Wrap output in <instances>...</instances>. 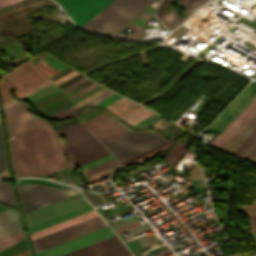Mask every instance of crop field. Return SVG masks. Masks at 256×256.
Instances as JSON below:
<instances>
[{"mask_svg": "<svg viewBox=\"0 0 256 256\" xmlns=\"http://www.w3.org/2000/svg\"><path fill=\"white\" fill-rule=\"evenodd\" d=\"M256 138V131L243 143V145L234 153V155L239 156L246 148L247 146Z\"/></svg>", "mask_w": 256, "mask_h": 256, "instance_id": "d32e631a", "label": "crop field"}, {"mask_svg": "<svg viewBox=\"0 0 256 256\" xmlns=\"http://www.w3.org/2000/svg\"><path fill=\"white\" fill-rule=\"evenodd\" d=\"M16 181L25 213L79 192L75 188L46 180L18 179Z\"/></svg>", "mask_w": 256, "mask_h": 256, "instance_id": "34b2d1b8", "label": "crop field"}, {"mask_svg": "<svg viewBox=\"0 0 256 256\" xmlns=\"http://www.w3.org/2000/svg\"><path fill=\"white\" fill-rule=\"evenodd\" d=\"M186 12L187 17L190 12L197 7L198 5L202 4L205 0H179ZM184 17V18H185ZM184 18L181 20L176 15V13L171 8L169 11H167L161 18H159L162 23L168 28L173 29L178 23H180Z\"/></svg>", "mask_w": 256, "mask_h": 256, "instance_id": "4a817a6b", "label": "crop field"}, {"mask_svg": "<svg viewBox=\"0 0 256 256\" xmlns=\"http://www.w3.org/2000/svg\"><path fill=\"white\" fill-rule=\"evenodd\" d=\"M49 80L29 60L14 68V70L0 79V89L3 104L10 102L12 85L16 94Z\"/></svg>", "mask_w": 256, "mask_h": 256, "instance_id": "412701ff", "label": "crop field"}, {"mask_svg": "<svg viewBox=\"0 0 256 256\" xmlns=\"http://www.w3.org/2000/svg\"><path fill=\"white\" fill-rule=\"evenodd\" d=\"M144 225V224H143ZM141 226V225H140ZM137 227H139V226H137ZM136 228V227H135ZM133 229V228H132ZM129 230H131V229H129ZM126 231H128V230H126ZM126 231H123V232H121V233H124V232H126ZM121 233H118V236L120 237V235L119 234H121ZM121 238V237H120Z\"/></svg>", "mask_w": 256, "mask_h": 256, "instance_id": "1f2cbd36", "label": "crop field"}, {"mask_svg": "<svg viewBox=\"0 0 256 256\" xmlns=\"http://www.w3.org/2000/svg\"><path fill=\"white\" fill-rule=\"evenodd\" d=\"M4 167H5L4 154H3V146H2V140H1V134H0V172L3 171Z\"/></svg>", "mask_w": 256, "mask_h": 256, "instance_id": "c035e120", "label": "crop field"}, {"mask_svg": "<svg viewBox=\"0 0 256 256\" xmlns=\"http://www.w3.org/2000/svg\"><path fill=\"white\" fill-rule=\"evenodd\" d=\"M120 168H121V166H120V164H118L116 166L110 167V168L105 169L103 171H100V172H97L95 174L89 175V176H87V179L89 180V182H91V181H93L95 179H98V178H100L102 176H105V175H107L109 173H112V172H114V171H116V170H118Z\"/></svg>", "mask_w": 256, "mask_h": 256, "instance_id": "bd1437ed", "label": "crop field"}, {"mask_svg": "<svg viewBox=\"0 0 256 256\" xmlns=\"http://www.w3.org/2000/svg\"><path fill=\"white\" fill-rule=\"evenodd\" d=\"M81 192L84 194V196L87 198V200L93 205V207L96 206V205H99L100 203L103 204L95 194H94L95 197L100 201V203H99L98 200L93 196L92 193H88V192H84V191H81Z\"/></svg>", "mask_w": 256, "mask_h": 256, "instance_id": "e1f06a70", "label": "crop field"}, {"mask_svg": "<svg viewBox=\"0 0 256 256\" xmlns=\"http://www.w3.org/2000/svg\"><path fill=\"white\" fill-rule=\"evenodd\" d=\"M128 254H130L129 250L114 235L63 256H125Z\"/></svg>", "mask_w": 256, "mask_h": 256, "instance_id": "d1516ede", "label": "crop field"}, {"mask_svg": "<svg viewBox=\"0 0 256 256\" xmlns=\"http://www.w3.org/2000/svg\"><path fill=\"white\" fill-rule=\"evenodd\" d=\"M22 239H24V237H23L22 231H20L2 241H0V250L20 241Z\"/></svg>", "mask_w": 256, "mask_h": 256, "instance_id": "750c4746", "label": "crop field"}, {"mask_svg": "<svg viewBox=\"0 0 256 256\" xmlns=\"http://www.w3.org/2000/svg\"><path fill=\"white\" fill-rule=\"evenodd\" d=\"M97 215L96 211L93 210V211H90L88 213H85V214H82L80 216H77V217H74V218H71L69 220H66V221H63L61 223H58V224H55L53 226H50V227H47V228H44L42 230H39V231H36L34 233H31V239H35V238H38V237H41L43 235H46L48 233H51L53 231H56V230H59L61 228H64L66 226H69L71 224H74V223H77L79 221H82L84 219H87L89 217H92V216H95Z\"/></svg>", "mask_w": 256, "mask_h": 256, "instance_id": "214f88e0", "label": "crop field"}, {"mask_svg": "<svg viewBox=\"0 0 256 256\" xmlns=\"http://www.w3.org/2000/svg\"><path fill=\"white\" fill-rule=\"evenodd\" d=\"M107 224L99 215L79 222L52 234L46 235L33 241L36 253L52 246L58 245L65 241L79 237L86 233L92 232L99 228L105 227Z\"/></svg>", "mask_w": 256, "mask_h": 256, "instance_id": "f4fd0767", "label": "crop field"}, {"mask_svg": "<svg viewBox=\"0 0 256 256\" xmlns=\"http://www.w3.org/2000/svg\"><path fill=\"white\" fill-rule=\"evenodd\" d=\"M57 133L59 136L63 135L68 141L62 144L64 149L93 137V135L82 125L81 122L62 129Z\"/></svg>", "mask_w": 256, "mask_h": 256, "instance_id": "d9b57169", "label": "crop field"}, {"mask_svg": "<svg viewBox=\"0 0 256 256\" xmlns=\"http://www.w3.org/2000/svg\"><path fill=\"white\" fill-rule=\"evenodd\" d=\"M157 135V133L152 131H144V132H136L132 131L120 138H117L107 144L105 146L109 149V151L115 155L127 148H130L142 141H145L153 136Z\"/></svg>", "mask_w": 256, "mask_h": 256, "instance_id": "5142ce71", "label": "crop field"}, {"mask_svg": "<svg viewBox=\"0 0 256 256\" xmlns=\"http://www.w3.org/2000/svg\"><path fill=\"white\" fill-rule=\"evenodd\" d=\"M147 229H149V227H148V226L143 227V228L138 229V230H135V231H133V233H134V234H136V233H139V232L144 231V230H147Z\"/></svg>", "mask_w": 256, "mask_h": 256, "instance_id": "73cf0c24", "label": "crop field"}, {"mask_svg": "<svg viewBox=\"0 0 256 256\" xmlns=\"http://www.w3.org/2000/svg\"><path fill=\"white\" fill-rule=\"evenodd\" d=\"M163 141H165V140L158 135V136H156V137H154L150 140H147V141H145V142H143V143H141L137 146H134V147H132V148L126 150V151H123V152L115 155V157L117 158V160L119 162H121V161H123V160H125V159H127V158H129L133 155H136V154H138V153H140V152H142V151H144V150H146L150 147H153V146H155V145H157V144H159Z\"/></svg>", "mask_w": 256, "mask_h": 256, "instance_id": "92a150f3", "label": "crop field"}, {"mask_svg": "<svg viewBox=\"0 0 256 256\" xmlns=\"http://www.w3.org/2000/svg\"><path fill=\"white\" fill-rule=\"evenodd\" d=\"M168 254H171V252H170L169 249H167V250H165V251H162V252H160V253H158V254H155V255H153V256H165V255H168Z\"/></svg>", "mask_w": 256, "mask_h": 256, "instance_id": "425ffa30", "label": "crop field"}, {"mask_svg": "<svg viewBox=\"0 0 256 256\" xmlns=\"http://www.w3.org/2000/svg\"><path fill=\"white\" fill-rule=\"evenodd\" d=\"M9 136L19 133L23 130L46 123L44 120L34 117L25 110L29 109L26 104L20 101H13L3 105Z\"/></svg>", "mask_w": 256, "mask_h": 256, "instance_id": "e52e79f7", "label": "crop field"}, {"mask_svg": "<svg viewBox=\"0 0 256 256\" xmlns=\"http://www.w3.org/2000/svg\"><path fill=\"white\" fill-rule=\"evenodd\" d=\"M169 143H171V142L166 141V142H164V143H162V144H160V145H158V146H155V147H153V148H151V149H149V150H147V151H145V152H142V153H140V154H138V155H136V156H134V157H131V158H129V159H127V160L121 162V164L124 165V164H126V163H128V162H130V161H132V160H134V159H137V158H139V157H141V156H143V155H145V154H148V153H150V152H152V151H154V150H156V149H158V148H161V147H163V146H165V145H167V144H169Z\"/></svg>", "mask_w": 256, "mask_h": 256, "instance_id": "120bbe31", "label": "crop field"}, {"mask_svg": "<svg viewBox=\"0 0 256 256\" xmlns=\"http://www.w3.org/2000/svg\"><path fill=\"white\" fill-rule=\"evenodd\" d=\"M170 0H163L162 3L160 4L159 8H158V11H157V16L158 18L163 15L168 3H169Z\"/></svg>", "mask_w": 256, "mask_h": 256, "instance_id": "c21b1889", "label": "crop field"}, {"mask_svg": "<svg viewBox=\"0 0 256 256\" xmlns=\"http://www.w3.org/2000/svg\"><path fill=\"white\" fill-rule=\"evenodd\" d=\"M127 246L129 247V249L131 251L136 250L138 248H141V245L138 243V241L130 243V244H127Z\"/></svg>", "mask_w": 256, "mask_h": 256, "instance_id": "5d738f31", "label": "crop field"}, {"mask_svg": "<svg viewBox=\"0 0 256 256\" xmlns=\"http://www.w3.org/2000/svg\"><path fill=\"white\" fill-rule=\"evenodd\" d=\"M154 0H113L82 28L113 36Z\"/></svg>", "mask_w": 256, "mask_h": 256, "instance_id": "ac0d7876", "label": "crop field"}, {"mask_svg": "<svg viewBox=\"0 0 256 256\" xmlns=\"http://www.w3.org/2000/svg\"><path fill=\"white\" fill-rule=\"evenodd\" d=\"M250 220H251V222H252V224H253V226H254V228H255V230H256V215L250 217Z\"/></svg>", "mask_w": 256, "mask_h": 256, "instance_id": "25e5ab78", "label": "crop field"}, {"mask_svg": "<svg viewBox=\"0 0 256 256\" xmlns=\"http://www.w3.org/2000/svg\"><path fill=\"white\" fill-rule=\"evenodd\" d=\"M16 1H19V0H0V7Z\"/></svg>", "mask_w": 256, "mask_h": 256, "instance_id": "d23c7cc5", "label": "crop field"}, {"mask_svg": "<svg viewBox=\"0 0 256 256\" xmlns=\"http://www.w3.org/2000/svg\"><path fill=\"white\" fill-rule=\"evenodd\" d=\"M96 86H98V85H96V84L94 83V84H92V85L86 87L85 89L79 91L78 93H76V94H74V95H72V96H70V97H71V99L73 100V99L79 97L80 95L86 93L87 91L91 90L92 88H94V87H96Z\"/></svg>", "mask_w": 256, "mask_h": 256, "instance_id": "03da06ac", "label": "crop field"}, {"mask_svg": "<svg viewBox=\"0 0 256 256\" xmlns=\"http://www.w3.org/2000/svg\"><path fill=\"white\" fill-rule=\"evenodd\" d=\"M136 225H139V222H138V221L133 222V223H131V224H128V225H126V226H124V227H122V228L116 229V230H114V231H115L116 233H118V232H121V231H123V230H126V229H129V228H131V227H134V226H136Z\"/></svg>", "mask_w": 256, "mask_h": 256, "instance_id": "b54c1fbb", "label": "crop field"}, {"mask_svg": "<svg viewBox=\"0 0 256 256\" xmlns=\"http://www.w3.org/2000/svg\"><path fill=\"white\" fill-rule=\"evenodd\" d=\"M136 220H138V219L134 215H132V216L127 217V218H125L123 220H120L118 222L112 223V224H110V226L112 228H115V227H119V226H122V225H125V224H128V223H131V222L136 221Z\"/></svg>", "mask_w": 256, "mask_h": 256, "instance_id": "5866460e", "label": "crop field"}, {"mask_svg": "<svg viewBox=\"0 0 256 256\" xmlns=\"http://www.w3.org/2000/svg\"><path fill=\"white\" fill-rule=\"evenodd\" d=\"M120 97H121V96H118V95L114 94V95L108 97L107 99H105V100L99 102L98 104H96V105H94V106H106V105L110 104L111 102L117 100V99L120 98Z\"/></svg>", "mask_w": 256, "mask_h": 256, "instance_id": "0bd39190", "label": "crop field"}, {"mask_svg": "<svg viewBox=\"0 0 256 256\" xmlns=\"http://www.w3.org/2000/svg\"><path fill=\"white\" fill-rule=\"evenodd\" d=\"M5 208L0 207V211L4 210Z\"/></svg>", "mask_w": 256, "mask_h": 256, "instance_id": "dbb93151", "label": "crop field"}, {"mask_svg": "<svg viewBox=\"0 0 256 256\" xmlns=\"http://www.w3.org/2000/svg\"><path fill=\"white\" fill-rule=\"evenodd\" d=\"M15 256H29L28 250H25V251H23V252H21V253L15 255Z\"/></svg>", "mask_w": 256, "mask_h": 256, "instance_id": "89e229c0", "label": "crop field"}, {"mask_svg": "<svg viewBox=\"0 0 256 256\" xmlns=\"http://www.w3.org/2000/svg\"><path fill=\"white\" fill-rule=\"evenodd\" d=\"M116 164H118V162L115 159H113L111 161H108L106 163H103V164L98 165V166H96L94 168H91L89 170L84 171V174H85V176H87L89 174L95 173L97 171H100L102 169L108 168V167L116 165Z\"/></svg>", "mask_w": 256, "mask_h": 256, "instance_id": "1d83c4d3", "label": "crop field"}, {"mask_svg": "<svg viewBox=\"0 0 256 256\" xmlns=\"http://www.w3.org/2000/svg\"><path fill=\"white\" fill-rule=\"evenodd\" d=\"M27 249L25 240H22L2 251H0V256H13L23 250Z\"/></svg>", "mask_w": 256, "mask_h": 256, "instance_id": "eef30255", "label": "crop field"}, {"mask_svg": "<svg viewBox=\"0 0 256 256\" xmlns=\"http://www.w3.org/2000/svg\"><path fill=\"white\" fill-rule=\"evenodd\" d=\"M82 26L112 0H56Z\"/></svg>", "mask_w": 256, "mask_h": 256, "instance_id": "5a996713", "label": "crop field"}, {"mask_svg": "<svg viewBox=\"0 0 256 256\" xmlns=\"http://www.w3.org/2000/svg\"><path fill=\"white\" fill-rule=\"evenodd\" d=\"M71 168L109 154L102 144L91 138L64 150Z\"/></svg>", "mask_w": 256, "mask_h": 256, "instance_id": "3316defc", "label": "crop field"}, {"mask_svg": "<svg viewBox=\"0 0 256 256\" xmlns=\"http://www.w3.org/2000/svg\"><path fill=\"white\" fill-rule=\"evenodd\" d=\"M188 145L178 143L175 147H173L164 160H166L172 167L176 163V161L179 159L181 154L184 152V150L187 148Z\"/></svg>", "mask_w": 256, "mask_h": 256, "instance_id": "4177f3b9", "label": "crop field"}, {"mask_svg": "<svg viewBox=\"0 0 256 256\" xmlns=\"http://www.w3.org/2000/svg\"><path fill=\"white\" fill-rule=\"evenodd\" d=\"M253 162H256V158L253 160Z\"/></svg>", "mask_w": 256, "mask_h": 256, "instance_id": "0fb4a251", "label": "crop field"}, {"mask_svg": "<svg viewBox=\"0 0 256 256\" xmlns=\"http://www.w3.org/2000/svg\"><path fill=\"white\" fill-rule=\"evenodd\" d=\"M84 124L103 144L129 132L106 112L84 122Z\"/></svg>", "mask_w": 256, "mask_h": 256, "instance_id": "28ad6ade", "label": "crop field"}, {"mask_svg": "<svg viewBox=\"0 0 256 256\" xmlns=\"http://www.w3.org/2000/svg\"><path fill=\"white\" fill-rule=\"evenodd\" d=\"M255 116L256 109L232 132V134L218 148L223 150Z\"/></svg>", "mask_w": 256, "mask_h": 256, "instance_id": "730fd06b", "label": "crop field"}, {"mask_svg": "<svg viewBox=\"0 0 256 256\" xmlns=\"http://www.w3.org/2000/svg\"><path fill=\"white\" fill-rule=\"evenodd\" d=\"M40 115L46 117L75 105L61 90L32 102Z\"/></svg>", "mask_w": 256, "mask_h": 256, "instance_id": "cbeb9de0", "label": "crop field"}, {"mask_svg": "<svg viewBox=\"0 0 256 256\" xmlns=\"http://www.w3.org/2000/svg\"><path fill=\"white\" fill-rule=\"evenodd\" d=\"M152 114L154 113L139 106L120 118L123 119L129 125L133 126Z\"/></svg>", "mask_w": 256, "mask_h": 256, "instance_id": "a9b5d70f", "label": "crop field"}, {"mask_svg": "<svg viewBox=\"0 0 256 256\" xmlns=\"http://www.w3.org/2000/svg\"><path fill=\"white\" fill-rule=\"evenodd\" d=\"M109 91H110V90H109ZM109 91L106 92V93H104V94H102V95H100L99 97H97V98H95V99L89 101L88 103H86V104H84V105H82V106H88V105L92 106V105L98 103L99 101H101V100L107 98L108 96H110V95H112V94L114 93V92L111 93L112 91H111V92H109ZM82 106H80V107H82Z\"/></svg>", "mask_w": 256, "mask_h": 256, "instance_id": "028f5c9d", "label": "crop field"}, {"mask_svg": "<svg viewBox=\"0 0 256 256\" xmlns=\"http://www.w3.org/2000/svg\"><path fill=\"white\" fill-rule=\"evenodd\" d=\"M78 109L79 108L77 107V105H75L71 108H68L64 111H61V112H59L55 115H52L48 118L54 119V120H63V119H66V118L74 117Z\"/></svg>", "mask_w": 256, "mask_h": 256, "instance_id": "d3111659", "label": "crop field"}, {"mask_svg": "<svg viewBox=\"0 0 256 256\" xmlns=\"http://www.w3.org/2000/svg\"><path fill=\"white\" fill-rule=\"evenodd\" d=\"M0 201L15 205L9 185L1 182H0Z\"/></svg>", "mask_w": 256, "mask_h": 256, "instance_id": "ae1a2a85", "label": "crop field"}, {"mask_svg": "<svg viewBox=\"0 0 256 256\" xmlns=\"http://www.w3.org/2000/svg\"><path fill=\"white\" fill-rule=\"evenodd\" d=\"M112 235H114V233L110 230L109 226H107L105 228L65 242L45 251L39 252L36 254V256H60Z\"/></svg>", "mask_w": 256, "mask_h": 256, "instance_id": "22f410ed", "label": "crop field"}, {"mask_svg": "<svg viewBox=\"0 0 256 256\" xmlns=\"http://www.w3.org/2000/svg\"><path fill=\"white\" fill-rule=\"evenodd\" d=\"M255 108L256 98L233 120V122L210 144V146L217 148Z\"/></svg>", "mask_w": 256, "mask_h": 256, "instance_id": "bc2a9ffb", "label": "crop field"}, {"mask_svg": "<svg viewBox=\"0 0 256 256\" xmlns=\"http://www.w3.org/2000/svg\"><path fill=\"white\" fill-rule=\"evenodd\" d=\"M10 142L18 176H41L69 167L56 131L48 123L11 136Z\"/></svg>", "mask_w": 256, "mask_h": 256, "instance_id": "8a807250", "label": "crop field"}, {"mask_svg": "<svg viewBox=\"0 0 256 256\" xmlns=\"http://www.w3.org/2000/svg\"><path fill=\"white\" fill-rule=\"evenodd\" d=\"M88 205L80 193L26 213L28 226L38 224L72 210Z\"/></svg>", "mask_w": 256, "mask_h": 256, "instance_id": "dd49c442", "label": "crop field"}, {"mask_svg": "<svg viewBox=\"0 0 256 256\" xmlns=\"http://www.w3.org/2000/svg\"><path fill=\"white\" fill-rule=\"evenodd\" d=\"M21 229L18 213L8 209L0 212V240Z\"/></svg>", "mask_w": 256, "mask_h": 256, "instance_id": "733c2abd", "label": "crop field"}, {"mask_svg": "<svg viewBox=\"0 0 256 256\" xmlns=\"http://www.w3.org/2000/svg\"><path fill=\"white\" fill-rule=\"evenodd\" d=\"M90 210H93V208H92L90 205H88V206H86V207L80 208V209H78V210L72 211V212H70V213H67V214H64V215H62V216L56 217V218H54V219L48 220V221H46V222L40 223V224H38V225L32 226V227L29 228V231H30V233H31V232H34V231H36V230H39V229H42V228H44V227L53 225V224H55V223L61 222V221H63V220L69 219V218H71V217L80 215V214L85 213V212H88V211H90Z\"/></svg>", "mask_w": 256, "mask_h": 256, "instance_id": "00972430", "label": "crop field"}, {"mask_svg": "<svg viewBox=\"0 0 256 256\" xmlns=\"http://www.w3.org/2000/svg\"><path fill=\"white\" fill-rule=\"evenodd\" d=\"M255 96L256 81H253L205 130L221 133L231 123V121L254 99Z\"/></svg>", "mask_w": 256, "mask_h": 256, "instance_id": "d8731c3e", "label": "crop field"}, {"mask_svg": "<svg viewBox=\"0 0 256 256\" xmlns=\"http://www.w3.org/2000/svg\"><path fill=\"white\" fill-rule=\"evenodd\" d=\"M256 130V117L239 133V135L224 149L233 154L237 148Z\"/></svg>", "mask_w": 256, "mask_h": 256, "instance_id": "dafd665d", "label": "crop field"}, {"mask_svg": "<svg viewBox=\"0 0 256 256\" xmlns=\"http://www.w3.org/2000/svg\"><path fill=\"white\" fill-rule=\"evenodd\" d=\"M87 80H89V79H87V78L84 77V78L78 80L77 82H75V83L69 85L68 87H66V88H64V89H62V90L66 93V92L72 90L73 88L77 87L78 85L84 83V82L87 81Z\"/></svg>", "mask_w": 256, "mask_h": 256, "instance_id": "b80d0937", "label": "crop field"}]
</instances>
